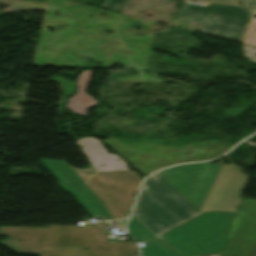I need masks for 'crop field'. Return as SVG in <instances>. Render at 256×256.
Masks as SVG:
<instances>
[{
    "instance_id": "obj_7",
    "label": "crop field",
    "mask_w": 256,
    "mask_h": 256,
    "mask_svg": "<svg viewBox=\"0 0 256 256\" xmlns=\"http://www.w3.org/2000/svg\"><path fill=\"white\" fill-rule=\"evenodd\" d=\"M242 168L236 165L224 164L212 189L210 190L201 213L206 211L235 212L240 194L249 176L241 173Z\"/></svg>"
},
{
    "instance_id": "obj_5",
    "label": "crop field",
    "mask_w": 256,
    "mask_h": 256,
    "mask_svg": "<svg viewBox=\"0 0 256 256\" xmlns=\"http://www.w3.org/2000/svg\"><path fill=\"white\" fill-rule=\"evenodd\" d=\"M253 10L213 3H206L205 6L183 5L178 19L200 23V32L242 42Z\"/></svg>"
},
{
    "instance_id": "obj_11",
    "label": "crop field",
    "mask_w": 256,
    "mask_h": 256,
    "mask_svg": "<svg viewBox=\"0 0 256 256\" xmlns=\"http://www.w3.org/2000/svg\"><path fill=\"white\" fill-rule=\"evenodd\" d=\"M41 256H92L86 249L58 250L41 253Z\"/></svg>"
},
{
    "instance_id": "obj_6",
    "label": "crop field",
    "mask_w": 256,
    "mask_h": 256,
    "mask_svg": "<svg viewBox=\"0 0 256 256\" xmlns=\"http://www.w3.org/2000/svg\"><path fill=\"white\" fill-rule=\"evenodd\" d=\"M222 165L209 164L167 174L157 173L200 210Z\"/></svg>"
},
{
    "instance_id": "obj_2",
    "label": "crop field",
    "mask_w": 256,
    "mask_h": 256,
    "mask_svg": "<svg viewBox=\"0 0 256 256\" xmlns=\"http://www.w3.org/2000/svg\"><path fill=\"white\" fill-rule=\"evenodd\" d=\"M132 215L157 237L201 213L156 173L144 182Z\"/></svg>"
},
{
    "instance_id": "obj_3",
    "label": "crop field",
    "mask_w": 256,
    "mask_h": 256,
    "mask_svg": "<svg viewBox=\"0 0 256 256\" xmlns=\"http://www.w3.org/2000/svg\"><path fill=\"white\" fill-rule=\"evenodd\" d=\"M235 213L206 212L158 237L178 256L220 253Z\"/></svg>"
},
{
    "instance_id": "obj_10",
    "label": "crop field",
    "mask_w": 256,
    "mask_h": 256,
    "mask_svg": "<svg viewBox=\"0 0 256 256\" xmlns=\"http://www.w3.org/2000/svg\"><path fill=\"white\" fill-rule=\"evenodd\" d=\"M91 71H83L76 80V94L68 98L65 107L79 116H85L89 107H95L98 103L85 91L90 81Z\"/></svg>"
},
{
    "instance_id": "obj_9",
    "label": "crop field",
    "mask_w": 256,
    "mask_h": 256,
    "mask_svg": "<svg viewBox=\"0 0 256 256\" xmlns=\"http://www.w3.org/2000/svg\"><path fill=\"white\" fill-rule=\"evenodd\" d=\"M128 231L139 242L146 244L145 247L141 248L142 256H176L133 216H131L129 221Z\"/></svg>"
},
{
    "instance_id": "obj_14",
    "label": "crop field",
    "mask_w": 256,
    "mask_h": 256,
    "mask_svg": "<svg viewBox=\"0 0 256 256\" xmlns=\"http://www.w3.org/2000/svg\"><path fill=\"white\" fill-rule=\"evenodd\" d=\"M209 163L210 162H203V163H197V164H183V165H178V166H175V167H172V168L164 169L160 172L167 173V172L187 169V168H191V167H196V166H200V165H205V164H209Z\"/></svg>"
},
{
    "instance_id": "obj_1",
    "label": "crop field",
    "mask_w": 256,
    "mask_h": 256,
    "mask_svg": "<svg viewBox=\"0 0 256 256\" xmlns=\"http://www.w3.org/2000/svg\"><path fill=\"white\" fill-rule=\"evenodd\" d=\"M76 143L83 147L91 164L86 169L72 168L64 161H39L58 179V185L93 217L102 220L127 217L141 183L137 174L128 171L117 155H108L99 140L81 138Z\"/></svg>"
},
{
    "instance_id": "obj_12",
    "label": "crop field",
    "mask_w": 256,
    "mask_h": 256,
    "mask_svg": "<svg viewBox=\"0 0 256 256\" xmlns=\"http://www.w3.org/2000/svg\"><path fill=\"white\" fill-rule=\"evenodd\" d=\"M244 43L256 45V9L251 18L247 33L244 38Z\"/></svg>"
},
{
    "instance_id": "obj_15",
    "label": "crop field",
    "mask_w": 256,
    "mask_h": 256,
    "mask_svg": "<svg viewBox=\"0 0 256 256\" xmlns=\"http://www.w3.org/2000/svg\"><path fill=\"white\" fill-rule=\"evenodd\" d=\"M243 46H244L245 56L248 59L256 62V55H255V53H256V46H252V45H248V44H244V43H243Z\"/></svg>"
},
{
    "instance_id": "obj_13",
    "label": "crop field",
    "mask_w": 256,
    "mask_h": 256,
    "mask_svg": "<svg viewBox=\"0 0 256 256\" xmlns=\"http://www.w3.org/2000/svg\"><path fill=\"white\" fill-rule=\"evenodd\" d=\"M125 1L126 0H105L101 7L118 11Z\"/></svg>"
},
{
    "instance_id": "obj_4",
    "label": "crop field",
    "mask_w": 256,
    "mask_h": 256,
    "mask_svg": "<svg viewBox=\"0 0 256 256\" xmlns=\"http://www.w3.org/2000/svg\"><path fill=\"white\" fill-rule=\"evenodd\" d=\"M103 226H48L44 251L84 246L94 256H138L134 242L109 243Z\"/></svg>"
},
{
    "instance_id": "obj_18",
    "label": "crop field",
    "mask_w": 256,
    "mask_h": 256,
    "mask_svg": "<svg viewBox=\"0 0 256 256\" xmlns=\"http://www.w3.org/2000/svg\"><path fill=\"white\" fill-rule=\"evenodd\" d=\"M220 254H215V255H204V256H219Z\"/></svg>"
},
{
    "instance_id": "obj_16",
    "label": "crop field",
    "mask_w": 256,
    "mask_h": 256,
    "mask_svg": "<svg viewBox=\"0 0 256 256\" xmlns=\"http://www.w3.org/2000/svg\"><path fill=\"white\" fill-rule=\"evenodd\" d=\"M242 6L256 8V0H238Z\"/></svg>"
},
{
    "instance_id": "obj_8",
    "label": "crop field",
    "mask_w": 256,
    "mask_h": 256,
    "mask_svg": "<svg viewBox=\"0 0 256 256\" xmlns=\"http://www.w3.org/2000/svg\"><path fill=\"white\" fill-rule=\"evenodd\" d=\"M0 234L9 236L8 240L0 241L1 244L19 253L40 254L43 251L46 228L0 227Z\"/></svg>"
},
{
    "instance_id": "obj_17",
    "label": "crop field",
    "mask_w": 256,
    "mask_h": 256,
    "mask_svg": "<svg viewBox=\"0 0 256 256\" xmlns=\"http://www.w3.org/2000/svg\"><path fill=\"white\" fill-rule=\"evenodd\" d=\"M125 221H126V219L125 220L115 221V222H116L117 227L120 228V227L124 226Z\"/></svg>"
}]
</instances>
